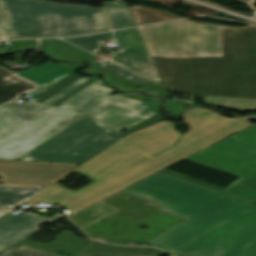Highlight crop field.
<instances>
[{"mask_svg": "<svg viewBox=\"0 0 256 256\" xmlns=\"http://www.w3.org/2000/svg\"><path fill=\"white\" fill-rule=\"evenodd\" d=\"M36 37L64 36L108 30L104 9L27 0Z\"/></svg>", "mask_w": 256, "mask_h": 256, "instance_id": "7", "label": "crop field"}, {"mask_svg": "<svg viewBox=\"0 0 256 256\" xmlns=\"http://www.w3.org/2000/svg\"><path fill=\"white\" fill-rule=\"evenodd\" d=\"M74 72L54 63H46L39 67H31L18 75L37 83L40 87Z\"/></svg>", "mask_w": 256, "mask_h": 256, "instance_id": "15", "label": "crop field"}, {"mask_svg": "<svg viewBox=\"0 0 256 256\" xmlns=\"http://www.w3.org/2000/svg\"><path fill=\"white\" fill-rule=\"evenodd\" d=\"M105 5L113 29L136 25L126 3L123 1H107Z\"/></svg>", "mask_w": 256, "mask_h": 256, "instance_id": "20", "label": "crop field"}, {"mask_svg": "<svg viewBox=\"0 0 256 256\" xmlns=\"http://www.w3.org/2000/svg\"><path fill=\"white\" fill-rule=\"evenodd\" d=\"M42 189L0 187V211L10 212Z\"/></svg>", "mask_w": 256, "mask_h": 256, "instance_id": "17", "label": "crop field"}, {"mask_svg": "<svg viewBox=\"0 0 256 256\" xmlns=\"http://www.w3.org/2000/svg\"><path fill=\"white\" fill-rule=\"evenodd\" d=\"M33 89L35 85L14 76L13 72L0 67V104L25 93L26 89Z\"/></svg>", "mask_w": 256, "mask_h": 256, "instance_id": "16", "label": "crop field"}, {"mask_svg": "<svg viewBox=\"0 0 256 256\" xmlns=\"http://www.w3.org/2000/svg\"><path fill=\"white\" fill-rule=\"evenodd\" d=\"M84 115L41 104L0 107V159L18 160Z\"/></svg>", "mask_w": 256, "mask_h": 256, "instance_id": "4", "label": "crop field"}, {"mask_svg": "<svg viewBox=\"0 0 256 256\" xmlns=\"http://www.w3.org/2000/svg\"><path fill=\"white\" fill-rule=\"evenodd\" d=\"M212 146L247 159L256 158V124Z\"/></svg>", "mask_w": 256, "mask_h": 256, "instance_id": "13", "label": "crop field"}, {"mask_svg": "<svg viewBox=\"0 0 256 256\" xmlns=\"http://www.w3.org/2000/svg\"><path fill=\"white\" fill-rule=\"evenodd\" d=\"M64 232H62L50 246L43 245L26 239L18 243L55 254H57L61 249H64L67 252H69L72 256H78L91 242V240L88 239L76 238L74 234L71 232L66 234Z\"/></svg>", "mask_w": 256, "mask_h": 256, "instance_id": "14", "label": "crop field"}, {"mask_svg": "<svg viewBox=\"0 0 256 256\" xmlns=\"http://www.w3.org/2000/svg\"><path fill=\"white\" fill-rule=\"evenodd\" d=\"M138 29L164 85L198 98H256V28L182 20Z\"/></svg>", "mask_w": 256, "mask_h": 256, "instance_id": "1", "label": "crop field"}, {"mask_svg": "<svg viewBox=\"0 0 256 256\" xmlns=\"http://www.w3.org/2000/svg\"><path fill=\"white\" fill-rule=\"evenodd\" d=\"M118 45L122 50L109 60L130 69L151 80L161 83L159 73L147 51L137 28L115 31Z\"/></svg>", "mask_w": 256, "mask_h": 256, "instance_id": "10", "label": "crop field"}, {"mask_svg": "<svg viewBox=\"0 0 256 256\" xmlns=\"http://www.w3.org/2000/svg\"><path fill=\"white\" fill-rule=\"evenodd\" d=\"M137 25L181 19V17L168 13L164 10L142 7L135 5L130 7Z\"/></svg>", "mask_w": 256, "mask_h": 256, "instance_id": "21", "label": "crop field"}, {"mask_svg": "<svg viewBox=\"0 0 256 256\" xmlns=\"http://www.w3.org/2000/svg\"><path fill=\"white\" fill-rule=\"evenodd\" d=\"M159 173H162V174H165V175H168L171 177H175V178H178V179H181V180H184V181H187V182H190V183L202 186V187H206V188L218 191V192L223 190V188H220V187H217V186H214V185H211V184H208V183L196 180V179H192V178H189V177H186V176H183V175H180V174H177V173L165 170V169L161 170Z\"/></svg>", "mask_w": 256, "mask_h": 256, "instance_id": "28", "label": "crop field"}, {"mask_svg": "<svg viewBox=\"0 0 256 256\" xmlns=\"http://www.w3.org/2000/svg\"><path fill=\"white\" fill-rule=\"evenodd\" d=\"M90 78L91 77H84L80 79L53 98L46 101L44 104H52L53 102H55L56 100H58L59 98H61L62 96H64L65 94H67L68 92H70L71 90L81 85ZM57 81L52 82L32 92L38 94L52 84L56 83ZM113 91L115 90L105 87L100 80H97L96 82H94L81 92L77 93L61 105L66 106V109L83 111L112 128L134 116L135 114L139 113L140 111L144 110L138 108L140 104L144 101V99L149 100L153 103H157L146 109L145 112L138 114L137 116L113 129L121 135L158 118L154 116L157 113L161 117H163L159 109V99L145 97L141 93H130L127 95L117 94L112 97L109 95V93ZM126 128L128 130L122 132Z\"/></svg>", "mask_w": 256, "mask_h": 256, "instance_id": "5", "label": "crop field"}, {"mask_svg": "<svg viewBox=\"0 0 256 256\" xmlns=\"http://www.w3.org/2000/svg\"><path fill=\"white\" fill-rule=\"evenodd\" d=\"M81 256H119V255H81Z\"/></svg>", "mask_w": 256, "mask_h": 256, "instance_id": "32", "label": "crop field"}, {"mask_svg": "<svg viewBox=\"0 0 256 256\" xmlns=\"http://www.w3.org/2000/svg\"><path fill=\"white\" fill-rule=\"evenodd\" d=\"M0 39H3V38H2V34H1V28H0Z\"/></svg>", "mask_w": 256, "mask_h": 256, "instance_id": "33", "label": "crop field"}, {"mask_svg": "<svg viewBox=\"0 0 256 256\" xmlns=\"http://www.w3.org/2000/svg\"><path fill=\"white\" fill-rule=\"evenodd\" d=\"M79 165L0 160L2 182L48 186Z\"/></svg>", "mask_w": 256, "mask_h": 256, "instance_id": "9", "label": "crop field"}, {"mask_svg": "<svg viewBox=\"0 0 256 256\" xmlns=\"http://www.w3.org/2000/svg\"><path fill=\"white\" fill-rule=\"evenodd\" d=\"M5 214H6V213H0V217L3 216V215H5Z\"/></svg>", "mask_w": 256, "mask_h": 256, "instance_id": "34", "label": "crop field"}, {"mask_svg": "<svg viewBox=\"0 0 256 256\" xmlns=\"http://www.w3.org/2000/svg\"><path fill=\"white\" fill-rule=\"evenodd\" d=\"M100 66H102V67H104V68H106V69L124 77V78H127V79H129V80H131V81H133V82H135V83H137V84H139L143 87L146 86L147 84H149L150 82H152V81H150L146 78H143V77H141L137 74H134L130 71H127V70H125V69H123V68H121V67H119V66H117V65H115L111 62H108V61L104 62Z\"/></svg>", "mask_w": 256, "mask_h": 256, "instance_id": "25", "label": "crop field"}, {"mask_svg": "<svg viewBox=\"0 0 256 256\" xmlns=\"http://www.w3.org/2000/svg\"><path fill=\"white\" fill-rule=\"evenodd\" d=\"M83 254L165 255L166 253L152 248L123 247L94 242Z\"/></svg>", "mask_w": 256, "mask_h": 256, "instance_id": "19", "label": "crop field"}, {"mask_svg": "<svg viewBox=\"0 0 256 256\" xmlns=\"http://www.w3.org/2000/svg\"><path fill=\"white\" fill-rule=\"evenodd\" d=\"M87 73H94V72H103L106 74L105 79L111 83L114 84L120 88H123L127 91H132L134 89L137 88H141L145 91H147L150 95H158V96H162V97H167L169 96V93L167 91V89L161 85H158L154 82L150 83L149 85H147L146 87L142 88L108 70H105L101 67H95V68H91L89 70L86 71Z\"/></svg>", "mask_w": 256, "mask_h": 256, "instance_id": "18", "label": "crop field"}, {"mask_svg": "<svg viewBox=\"0 0 256 256\" xmlns=\"http://www.w3.org/2000/svg\"><path fill=\"white\" fill-rule=\"evenodd\" d=\"M254 118L256 116L227 119L209 109H191L183 118L190 129L171 150L168 147L173 146L181 134L171 122L157 123L126 136L74 170L95 182L77 191L54 184L28 204L56 203L70 215L252 125L249 119ZM166 148L169 151L153 156Z\"/></svg>", "mask_w": 256, "mask_h": 256, "instance_id": "2", "label": "crop field"}, {"mask_svg": "<svg viewBox=\"0 0 256 256\" xmlns=\"http://www.w3.org/2000/svg\"><path fill=\"white\" fill-rule=\"evenodd\" d=\"M187 219L148 241L174 255L256 256V205L162 174L124 189Z\"/></svg>", "mask_w": 256, "mask_h": 256, "instance_id": "3", "label": "crop field"}, {"mask_svg": "<svg viewBox=\"0 0 256 256\" xmlns=\"http://www.w3.org/2000/svg\"><path fill=\"white\" fill-rule=\"evenodd\" d=\"M5 186H21V185H10V184H4ZM21 187H33V186H21ZM36 188H42V187H36Z\"/></svg>", "mask_w": 256, "mask_h": 256, "instance_id": "31", "label": "crop field"}, {"mask_svg": "<svg viewBox=\"0 0 256 256\" xmlns=\"http://www.w3.org/2000/svg\"><path fill=\"white\" fill-rule=\"evenodd\" d=\"M0 256H57L22 245L15 244L0 252Z\"/></svg>", "mask_w": 256, "mask_h": 256, "instance_id": "24", "label": "crop field"}, {"mask_svg": "<svg viewBox=\"0 0 256 256\" xmlns=\"http://www.w3.org/2000/svg\"><path fill=\"white\" fill-rule=\"evenodd\" d=\"M0 24L4 39L35 38L26 0H0Z\"/></svg>", "mask_w": 256, "mask_h": 256, "instance_id": "12", "label": "crop field"}, {"mask_svg": "<svg viewBox=\"0 0 256 256\" xmlns=\"http://www.w3.org/2000/svg\"><path fill=\"white\" fill-rule=\"evenodd\" d=\"M185 159L241 177L221 192L256 203V159L247 160L211 146Z\"/></svg>", "mask_w": 256, "mask_h": 256, "instance_id": "8", "label": "crop field"}, {"mask_svg": "<svg viewBox=\"0 0 256 256\" xmlns=\"http://www.w3.org/2000/svg\"><path fill=\"white\" fill-rule=\"evenodd\" d=\"M57 64H59L61 66L69 67V68H71V69H73L75 71L85 67L83 65H77V64H64V63H57Z\"/></svg>", "mask_w": 256, "mask_h": 256, "instance_id": "30", "label": "crop field"}, {"mask_svg": "<svg viewBox=\"0 0 256 256\" xmlns=\"http://www.w3.org/2000/svg\"><path fill=\"white\" fill-rule=\"evenodd\" d=\"M121 138L96 119L83 117L19 160L83 164Z\"/></svg>", "mask_w": 256, "mask_h": 256, "instance_id": "6", "label": "crop field"}, {"mask_svg": "<svg viewBox=\"0 0 256 256\" xmlns=\"http://www.w3.org/2000/svg\"><path fill=\"white\" fill-rule=\"evenodd\" d=\"M204 100L207 103L224 106L231 109L245 111L256 110V99L204 96Z\"/></svg>", "mask_w": 256, "mask_h": 256, "instance_id": "23", "label": "crop field"}, {"mask_svg": "<svg viewBox=\"0 0 256 256\" xmlns=\"http://www.w3.org/2000/svg\"><path fill=\"white\" fill-rule=\"evenodd\" d=\"M107 39L112 40L113 35L111 32L97 34V35H90V36H82V37H75V38H67L63 39L75 45H78L82 48H85L95 54L100 52L106 45L102 44Z\"/></svg>", "mask_w": 256, "mask_h": 256, "instance_id": "22", "label": "crop field"}, {"mask_svg": "<svg viewBox=\"0 0 256 256\" xmlns=\"http://www.w3.org/2000/svg\"><path fill=\"white\" fill-rule=\"evenodd\" d=\"M42 49L44 51H46L48 54H50L51 56L55 57V58H58V59H65V60H78V59H81L77 56H74L70 53H67L63 50H60L54 46H42ZM97 57L91 55L89 57H86L84 59H96Z\"/></svg>", "mask_w": 256, "mask_h": 256, "instance_id": "27", "label": "crop field"}, {"mask_svg": "<svg viewBox=\"0 0 256 256\" xmlns=\"http://www.w3.org/2000/svg\"><path fill=\"white\" fill-rule=\"evenodd\" d=\"M65 215L55 217H41L34 213L19 212L15 215L7 214L0 218V250L18 242L38 231L44 222L58 221Z\"/></svg>", "mask_w": 256, "mask_h": 256, "instance_id": "11", "label": "crop field"}, {"mask_svg": "<svg viewBox=\"0 0 256 256\" xmlns=\"http://www.w3.org/2000/svg\"><path fill=\"white\" fill-rule=\"evenodd\" d=\"M13 45H18L17 49L27 48V47H36L35 40H27V41H11Z\"/></svg>", "mask_w": 256, "mask_h": 256, "instance_id": "29", "label": "crop field"}, {"mask_svg": "<svg viewBox=\"0 0 256 256\" xmlns=\"http://www.w3.org/2000/svg\"><path fill=\"white\" fill-rule=\"evenodd\" d=\"M42 45H54L60 49H63L67 52H70L74 55H77L81 58H84L86 56L91 55L89 52H86L76 46H73L71 44L65 43L59 39H48V40H43L41 41Z\"/></svg>", "mask_w": 256, "mask_h": 256, "instance_id": "26", "label": "crop field"}]
</instances>
